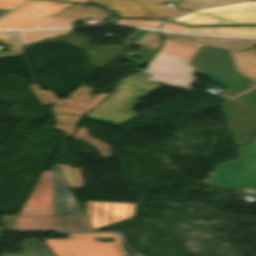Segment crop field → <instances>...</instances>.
<instances>
[{
  "label": "crop field",
  "instance_id": "1",
  "mask_svg": "<svg viewBox=\"0 0 256 256\" xmlns=\"http://www.w3.org/2000/svg\"><path fill=\"white\" fill-rule=\"evenodd\" d=\"M198 47L165 39V46L148 64L145 70L153 76L148 81L190 90L196 83L194 74L197 70L187 65Z\"/></svg>",
  "mask_w": 256,
  "mask_h": 256
},
{
  "label": "crop field",
  "instance_id": "2",
  "mask_svg": "<svg viewBox=\"0 0 256 256\" xmlns=\"http://www.w3.org/2000/svg\"><path fill=\"white\" fill-rule=\"evenodd\" d=\"M150 77V74L139 71L130 77L120 80L112 91L111 96L90 114L121 122L139 116L129 110L144 96L163 87L146 81Z\"/></svg>",
  "mask_w": 256,
  "mask_h": 256
},
{
  "label": "crop field",
  "instance_id": "3",
  "mask_svg": "<svg viewBox=\"0 0 256 256\" xmlns=\"http://www.w3.org/2000/svg\"><path fill=\"white\" fill-rule=\"evenodd\" d=\"M114 237V242L94 238ZM55 256H127L116 233H68V239H46Z\"/></svg>",
  "mask_w": 256,
  "mask_h": 256
},
{
  "label": "crop field",
  "instance_id": "4",
  "mask_svg": "<svg viewBox=\"0 0 256 256\" xmlns=\"http://www.w3.org/2000/svg\"><path fill=\"white\" fill-rule=\"evenodd\" d=\"M256 108V89L244 94ZM241 159L219 164L211 182L222 187L251 188L256 186V138L239 151Z\"/></svg>",
  "mask_w": 256,
  "mask_h": 256
},
{
  "label": "crop field",
  "instance_id": "5",
  "mask_svg": "<svg viewBox=\"0 0 256 256\" xmlns=\"http://www.w3.org/2000/svg\"><path fill=\"white\" fill-rule=\"evenodd\" d=\"M172 21L185 25L256 24V2L208 8Z\"/></svg>",
  "mask_w": 256,
  "mask_h": 256
},
{
  "label": "crop field",
  "instance_id": "6",
  "mask_svg": "<svg viewBox=\"0 0 256 256\" xmlns=\"http://www.w3.org/2000/svg\"><path fill=\"white\" fill-rule=\"evenodd\" d=\"M73 5L55 1L30 0L0 19V30L29 28Z\"/></svg>",
  "mask_w": 256,
  "mask_h": 256
},
{
  "label": "crop field",
  "instance_id": "7",
  "mask_svg": "<svg viewBox=\"0 0 256 256\" xmlns=\"http://www.w3.org/2000/svg\"><path fill=\"white\" fill-rule=\"evenodd\" d=\"M189 65L213 81L235 68L230 50L205 44L198 49Z\"/></svg>",
  "mask_w": 256,
  "mask_h": 256
},
{
  "label": "crop field",
  "instance_id": "8",
  "mask_svg": "<svg viewBox=\"0 0 256 256\" xmlns=\"http://www.w3.org/2000/svg\"><path fill=\"white\" fill-rule=\"evenodd\" d=\"M166 2L148 0H91L89 4L100 5L122 18H138L144 15L171 10L170 6L162 5ZM195 10L198 6L177 4L174 9Z\"/></svg>",
  "mask_w": 256,
  "mask_h": 256
},
{
  "label": "crop field",
  "instance_id": "9",
  "mask_svg": "<svg viewBox=\"0 0 256 256\" xmlns=\"http://www.w3.org/2000/svg\"><path fill=\"white\" fill-rule=\"evenodd\" d=\"M89 91H91V89L80 86L71 95H69V99L59 100L52 107L56 121L61 123L77 124L82 114L97 105L107 96L105 93H103L102 96H92L87 94ZM90 97H96V99L92 100ZM59 113L73 114L78 116L64 115Z\"/></svg>",
  "mask_w": 256,
  "mask_h": 256
},
{
  "label": "crop field",
  "instance_id": "10",
  "mask_svg": "<svg viewBox=\"0 0 256 256\" xmlns=\"http://www.w3.org/2000/svg\"><path fill=\"white\" fill-rule=\"evenodd\" d=\"M14 230L92 231L84 214H73L67 217L19 218Z\"/></svg>",
  "mask_w": 256,
  "mask_h": 256
},
{
  "label": "crop field",
  "instance_id": "11",
  "mask_svg": "<svg viewBox=\"0 0 256 256\" xmlns=\"http://www.w3.org/2000/svg\"><path fill=\"white\" fill-rule=\"evenodd\" d=\"M87 215L96 229L135 215V204L88 201Z\"/></svg>",
  "mask_w": 256,
  "mask_h": 256
},
{
  "label": "crop field",
  "instance_id": "12",
  "mask_svg": "<svg viewBox=\"0 0 256 256\" xmlns=\"http://www.w3.org/2000/svg\"><path fill=\"white\" fill-rule=\"evenodd\" d=\"M53 215L52 171L42 176L18 216Z\"/></svg>",
  "mask_w": 256,
  "mask_h": 256
},
{
  "label": "crop field",
  "instance_id": "13",
  "mask_svg": "<svg viewBox=\"0 0 256 256\" xmlns=\"http://www.w3.org/2000/svg\"><path fill=\"white\" fill-rule=\"evenodd\" d=\"M53 187L54 216L82 213L56 165H53Z\"/></svg>",
  "mask_w": 256,
  "mask_h": 256
},
{
  "label": "crop field",
  "instance_id": "14",
  "mask_svg": "<svg viewBox=\"0 0 256 256\" xmlns=\"http://www.w3.org/2000/svg\"><path fill=\"white\" fill-rule=\"evenodd\" d=\"M160 33L162 34L163 38L195 45L198 47H200L202 43H205V44L224 47V48L233 49L237 51H244L256 45V40L198 37V36H187V35H179V34H166L163 32H160Z\"/></svg>",
  "mask_w": 256,
  "mask_h": 256
},
{
  "label": "crop field",
  "instance_id": "15",
  "mask_svg": "<svg viewBox=\"0 0 256 256\" xmlns=\"http://www.w3.org/2000/svg\"><path fill=\"white\" fill-rule=\"evenodd\" d=\"M184 32L229 36H256V26L236 27H186Z\"/></svg>",
  "mask_w": 256,
  "mask_h": 256
},
{
  "label": "crop field",
  "instance_id": "16",
  "mask_svg": "<svg viewBox=\"0 0 256 256\" xmlns=\"http://www.w3.org/2000/svg\"><path fill=\"white\" fill-rule=\"evenodd\" d=\"M215 82L224 86L235 95L256 86V82L240 74L236 69H233Z\"/></svg>",
  "mask_w": 256,
  "mask_h": 256
},
{
  "label": "crop field",
  "instance_id": "17",
  "mask_svg": "<svg viewBox=\"0 0 256 256\" xmlns=\"http://www.w3.org/2000/svg\"><path fill=\"white\" fill-rule=\"evenodd\" d=\"M231 52L237 71L256 81V48L245 52Z\"/></svg>",
  "mask_w": 256,
  "mask_h": 256
},
{
  "label": "crop field",
  "instance_id": "18",
  "mask_svg": "<svg viewBox=\"0 0 256 256\" xmlns=\"http://www.w3.org/2000/svg\"><path fill=\"white\" fill-rule=\"evenodd\" d=\"M73 29L49 30V31H28L19 32L23 45H29L35 42L67 34Z\"/></svg>",
  "mask_w": 256,
  "mask_h": 256
},
{
  "label": "crop field",
  "instance_id": "19",
  "mask_svg": "<svg viewBox=\"0 0 256 256\" xmlns=\"http://www.w3.org/2000/svg\"><path fill=\"white\" fill-rule=\"evenodd\" d=\"M36 242L37 245L32 244ZM24 251L21 254L2 253L1 256H54L45 243L35 239H28L22 245Z\"/></svg>",
  "mask_w": 256,
  "mask_h": 256
},
{
  "label": "crop field",
  "instance_id": "20",
  "mask_svg": "<svg viewBox=\"0 0 256 256\" xmlns=\"http://www.w3.org/2000/svg\"><path fill=\"white\" fill-rule=\"evenodd\" d=\"M0 42L8 45L10 52L0 53V57L25 55L18 32L0 33Z\"/></svg>",
  "mask_w": 256,
  "mask_h": 256
},
{
  "label": "crop field",
  "instance_id": "21",
  "mask_svg": "<svg viewBox=\"0 0 256 256\" xmlns=\"http://www.w3.org/2000/svg\"><path fill=\"white\" fill-rule=\"evenodd\" d=\"M75 138L96 147L102 158H110L109 145L89 136L87 127L77 128Z\"/></svg>",
  "mask_w": 256,
  "mask_h": 256
},
{
  "label": "crop field",
  "instance_id": "22",
  "mask_svg": "<svg viewBox=\"0 0 256 256\" xmlns=\"http://www.w3.org/2000/svg\"><path fill=\"white\" fill-rule=\"evenodd\" d=\"M70 189L84 187L80 168H71V165H59Z\"/></svg>",
  "mask_w": 256,
  "mask_h": 256
},
{
  "label": "crop field",
  "instance_id": "23",
  "mask_svg": "<svg viewBox=\"0 0 256 256\" xmlns=\"http://www.w3.org/2000/svg\"><path fill=\"white\" fill-rule=\"evenodd\" d=\"M79 21L51 17L48 20L42 22L41 24L33 27V28H53V27H67L72 26Z\"/></svg>",
  "mask_w": 256,
  "mask_h": 256
},
{
  "label": "crop field",
  "instance_id": "24",
  "mask_svg": "<svg viewBox=\"0 0 256 256\" xmlns=\"http://www.w3.org/2000/svg\"><path fill=\"white\" fill-rule=\"evenodd\" d=\"M31 91L35 93L42 105H51L53 102L58 101L53 91H42L36 84L30 87ZM51 100L52 102H50Z\"/></svg>",
  "mask_w": 256,
  "mask_h": 256
},
{
  "label": "crop field",
  "instance_id": "25",
  "mask_svg": "<svg viewBox=\"0 0 256 256\" xmlns=\"http://www.w3.org/2000/svg\"><path fill=\"white\" fill-rule=\"evenodd\" d=\"M151 42H155V44H153ZM138 44H140V45H138ZM138 44L135 46H138V47L146 46L143 48L158 50L160 48V46L162 45V39H161L160 35L158 34V32L152 31L148 36L143 38L142 41L139 42Z\"/></svg>",
  "mask_w": 256,
  "mask_h": 256
},
{
  "label": "crop field",
  "instance_id": "26",
  "mask_svg": "<svg viewBox=\"0 0 256 256\" xmlns=\"http://www.w3.org/2000/svg\"><path fill=\"white\" fill-rule=\"evenodd\" d=\"M155 52L156 51L154 50L139 48V50L136 52L134 56L141 58V60L132 59V57L134 56L132 57L124 56L123 59L128 60L130 62H134V63L144 64L155 54Z\"/></svg>",
  "mask_w": 256,
  "mask_h": 256
},
{
  "label": "crop field",
  "instance_id": "27",
  "mask_svg": "<svg viewBox=\"0 0 256 256\" xmlns=\"http://www.w3.org/2000/svg\"><path fill=\"white\" fill-rule=\"evenodd\" d=\"M186 12H189L187 10H172V11H166V12H162V13H157V14H153V15H148V16H144L142 17L143 19H170L173 18L175 16H179L182 15Z\"/></svg>",
  "mask_w": 256,
  "mask_h": 256
},
{
  "label": "crop field",
  "instance_id": "28",
  "mask_svg": "<svg viewBox=\"0 0 256 256\" xmlns=\"http://www.w3.org/2000/svg\"><path fill=\"white\" fill-rule=\"evenodd\" d=\"M160 21H141V20H119L120 25H133L140 27H151L156 28Z\"/></svg>",
  "mask_w": 256,
  "mask_h": 256
},
{
  "label": "crop field",
  "instance_id": "29",
  "mask_svg": "<svg viewBox=\"0 0 256 256\" xmlns=\"http://www.w3.org/2000/svg\"><path fill=\"white\" fill-rule=\"evenodd\" d=\"M237 1H243V0H184L183 2L188 4L212 6V5L225 4V3L237 2Z\"/></svg>",
  "mask_w": 256,
  "mask_h": 256
},
{
  "label": "crop field",
  "instance_id": "30",
  "mask_svg": "<svg viewBox=\"0 0 256 256\" xmlns=\"http://www.w3.org/2000/svg\"><path fill=\"white\" fill-rule=\"evenodd\" d=\"M24 1L26 0H0V8L12 10L13 7L23 3Z\"/></svg>",
  "mask_w": 256,
  "mask_h": 256
},
{
  "label": "crop field",
  "instance_id": "31",
  "mask_svg": "<svg viewBox=\"0 0 256 256\" xmlns=\"http://www.w3.org/2000/svg\"><path fill=\"white\" fill-rule=\"evenodd\" d=\"M76 127L77 126H74V125H67V124L57 123V128H59L60 130L66 132L70 136H73Z\"/></svg>",
  "mask_w": 256,
  "mask_h": 256
},
{
  "label": "crop field",
  "instance_id": "32",
  "mask_svg": "<svg viewBox=\"0 0 256 256\" xmlns=\"http://www.w3.org/2000/svg\"><path fill=\"white\" fill-rule=\"evenodd\" d=\"M162 29L183 32V30L185 29V26H182V25H179L176 23H174V24L167 23L163 26Z\"/></svg>",
  "mask_w": 256,
  "mask_h": 256
},
{
  "label": "crop field",
  "instance_id": "33",
  "mask_svg": "<svg viewBox=\"0 0 256 256\" xmlns=\"http://www.w3.org/2000/svg\"><path fill=\"white\" fill-rule=\"evenodd\" d=\"M147 32V30H138L135 33H133L129 38L137 39L139 40L142 36H144Z\"/></svg>",
  "mask_w": 256,
  "mask_h": 256
},
{
  "label": "crop field",
  "instance_id": "34",
  "mask_svg": "<svg viewBox=\"0 0 256 256\" xmlns=\"http://www.w3.org/2000/svg\"><path fill=\"white\" fill-rule=\"evenodd\" d=\"M59 1L87 4L89 0H59Z\"/></svg>",
  "mask_w": 256,
  "mask_h": 256
},
{
  "label": "crop field",
  "instance_id": "35",
  "mask_svg": "<svg viewBox=\"0 0 256 256\" xmlns=\"http://www.w3.org/2000/svg\"><path fill=\"white\" fill-rule=\"evenodd\" d=\"M91 18L106 19V18H101V17H95V16L87 15V16L83 17V18H82V19H80V20L91 19Z\"/></svg>",
  "mask_w": 256,
  "mask_h": 256
},
{
  "label": "crop field",
  "instance_id": "36",
  "mask_svg": "<svg viewBox=\"0 0 256 256\" xmlns=\"http://www.w3.org/2000/svg\"><path fill=\"white\" fill-rule=\"evenodd\" d=\"M10 10H2L0 9V17L4 14H6L7 12H9Z\"/></svg>",
  "mask_w": 256,
  "mask_h": 256
},
{
  "label": "crop field",
  "instance_id": "37",
  "mask_svg": "<svg viewBox=\"0 0 256 256\" xmlns=\"http://www.w3.org/2000/svg\"><path fill=\"white\" fill-rule=\"evenodd\" d=\"M131 256H136V255H131Z\"/></svg>",
  "mask_w": 256,
  "mask_h": 256
}]
</instances>
